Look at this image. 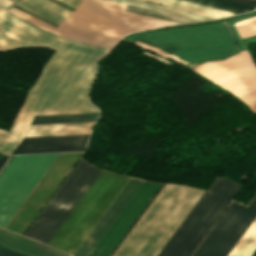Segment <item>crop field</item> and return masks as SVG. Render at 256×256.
Masks as SVG:
<instances>
[{
	"instance_id": "crop-field-19",
	"label": "crop field",
	"mask_w": 256,
	"mask_h": 256,
	"mask_svg": "<svg viewBox=\"0 0 256 256\" xmlns=\"http://www.w3.org/2000/svg\"><path fill=\"white\" fill-rule=\"evenodd\" d=\"M17 5L55 23V24H59L62 20H64L65 18L29 1V0H21L20 2L17 3ZM63 22V21H62Z\"/></svg>"
},
{
	"instance_id": "crop-field-16",
	"label": "crop field",
	"mask_w": 256,
	"mask_h": 256,
	"mask_svg": "<svg viewBox=\"0 0 256 256\" xmlns=\"http://www.w3.org/2000/svg\"><path fill=\"white\" fill-rule=\"evenodd\" d=\"M111 1H116V2H120V3H124V4L133 5V6H138V7H142V8H146V9L160 11V12L173 14V15H177V16H182V17H186V18H190V19L199 20V21L213 19L212 17L200 15L197 13L187 12V11L170 8V7H165V6L152 4V3H145V2H138V1H131V0H111Z\"/></svg>"
},
{
	"instance_id": "crop-field-21",
	"label": "crop field",
	"mask_w": 256,
	"mask_h": 256,
	"mask_svg": "<svg viewBox=\"0 0 256 256\" xmlns=\"http://www.w3.org/2000/svg\"><path fill=\"white\" fill-rule=\"evenodd\" d=\"M32 1L48 8L64 17H67L71 13V11H69V10L49 1V0H32Z\"/></svg>"
},
{
	"instance_id": "crop-field-3",
	"label": "crop field",
	"mask_w": 256,
	"mask_h": 256,
	"mask_svg": "<svg viewBox=\"0 0 256 256\" xmlns=\"http://www.w3.org/2000/svg\"><path fill=\"white\" fill-rule=\"evenodd\" d=\"M203 192L165 184L113 256H156Z\"/></svg>"
},
{
	"instance_id": "crop-field-2",
	"label": "crop field",
	"mask_w": 256,
	"mask_h": 256,
	"mask_svg": "<svg viewBox=\"0 0 256 256\" xmlns=\"http://www.w3.org/2000/svg\"><path fill=\"white\" fill-rule=\"evenodd\" d=\"M124 7L107 0H85L56 28L14 7L8 11L63 38L110 49L130 32L179 24L126 12Z\"/></svg>"
},
{
	"instance_id": "crop-field-5",
	"label": "crop field",
	"mask_w": 256,
	"mask_h": 256,
	"mask_svg": "<svg viewBox=\"0 0 256 256\" xmlns=\"http://www.w3.org/2000/svg\"><path fill=\"white\" fill-rule=\"evenodd\" d=\"M128 180L102 170L48 245L74 254Z\"/></svg>"
},
{
	"instance_id": "crop-field-20",
	"label": "crop field",
	"mask_w": 256,
	"mask_h": 256,
	"mask_svg": "<svg viewBox=\"0 0 256 256\" xmlns=\"http://www.w3.org/2000/svg\"><path fill=\"white\" fill-rule=\"evenodd\" d=\"M125 10L130 11V12L139 13V14L148 15V16H153V17H157V18H161V19H166V20H170V21H175V22H179V23L195 22V20H190V19H186V18H182V17L168 15V14L155 12V11H151V10H146V9L133 7V6H129V5L126 6Z\"/></svg>"
},
{
	"instance_id": "crop-field-26",
	"label": "crop field",
	"mask_w": 256,
	"mask_h": 256,
	"mask_svg": "<svg viewBox=\"0 0 256 256\" xmlns=\"http://www.w3.org/2000/svg\"><path fill=\"white\" fill-rule=\"evenodd\" d=\"M7 157H8V156H5V155L2 156V158H1V160H0V169H1V167L3 166V164L5 163Z\"/></svg>"
},
{
	"instance_id": "crop-field-4",
	"label": "crop field",
	"mask_w": 256,
	"mask_h": 256,
	"mask_svg": "<svg viewBox=\"0 0 256 256\" xmlns=\"http://www.w3.org/2000/svg\"><path fill=\"white\" fill-rule=\"evenodd\" d=\"M129 37L157 48L172 47V53L185 59L188 64L221 59L238 52L223 22L144 32L127 36L124 41ZM131 38L127 42L159 56L187 64L183 59L171 54V48L157 49Z\"/></svg>"
},
{
	"instance_id": "crop-field-8",
	"label": "crop field",
	"mask_w": 256,
	"mask_h": 256,
	"mask_svg": "<svg viewBox=\"0 0 256 256\" xmlns=\"http://www.w3.org/2000/svg\"><path fill=\"white\" fill-rule=\"evenodd\" d=\"M100 171L80 160L25 236L47 244Z\"/></svg>"
},
{
	"instance_id": "crop-field-24",
	"label": "crop field",
	"mask_w": 256,
	"mask_h": 256,
	"mask_svg": "<svg viewBox=\"0 0 256 256\" xmlns=\"http://www.w3.org/2000/svg\"><path fill=\"white\" fill-rule=\"evenodd\" d=\"M230 1L238 2L241 4L253 6V7H255L256 5V0H230Z\"/></svg>"
},
{
	"instance_id": "crop-field-12",
	"label": "crop field",
	"mask_w": 256,
	"mask_h": 256,
	"mask_svg": "<svg viewBox=\"0 0 256 256\" xmlns=\"http://www.w3.org/2000/svg\"><path fill=\"white\" fill-rule=\"evenodd\" d=\"M89 135L24 138L12 154L84 151Z\"/></svg>"
},
{
	"instance_id": "crop-field-13",
	"label": "crop field",
	"mask_w": 256,
	"mask_h": 256,
	"mask_svg": "<svg viewBox=\"0 0 256 256\" xmlns=\"http://www.w3.org/2000/svg\"><path fill=\"white\" fill-rule=\"evenodd\" d=\"M254 14H256V12H252L236 18L228 19L226 21L239 49L241 50L247 49L250 43L256 41V36H255L256 35V15ZM251 15H254V16H251ZM248 16H251V17H248ZM244 17H248V18H244ZM241 18H244V19H241ZM238 19H241V20H238ZM235 20H238V21H235ZM233 21H235V24L243 39L251 36H255V37L242 40Z\"/></svg>"
},
{
	"instance_id": "crop-field-9",
	"label": "crop field",
	"mask_w": 256,
	"mask_h": 256,
	"mask_svg": "<svg viewBox=\"0 0 256 256\" xmlns=\"http://www.w3.org/2000/svg\"><path fill=\"white\" fill-rule=\"evenodd\" d=\"M192 70L237 97L256 88V67L246 51L225 60L204 63Z\"/></svg>"
},
{
	"instance_id": "crop-field-6",
	"label": "crop field",
	"mask_w": 256,
	"mask_h": 256,
	"mask_svg": "<svg viewBox=\"0 0 256 256\" xmlns=\"http://www.w3.org/2000/svg\"><path fill=\"white\" fill-rule=\"evenodd\" d=\"M239 189V186L217 178L158 256H190Z\"/></svg>"
},
{
	"instance_id": "crop-field-22",
	"label": "crop field",
	"mask_w": 256,
	"mask_h": 256,
	"mask_svg": "<svg viewBox=\"0 0 256 256\" xmlns=\"http://www.w3.org/2000/svg\"><path fill=\"white\" fill-rule=\"evenodd\" d=\"M239 98L248 105L252 112L256 111V89Z\"/></svg>"
},
{
	"instance_id": "crop-field-1",
	"label": "crop field",
	"mask_w": 256,
	"mask_h": 256,
	"mask_svg": "<svg viewBox=\"0 0 256 256\" xmlns=\"http://www.w3.org/2000/svg\"><path fill=\"white\" fill-rule=\"evenodd\" d=\"M17 1L0 0V51L29 47L57 51L29 90L10 132L0 130V153L7 155L23 137L89 134L93 122L29 125L34 115L98 112L87 91L94 65L111 51L62 39L6 11Z\"/></svg>"
},
{
	"instance_id": "crop-field-10",
	"label": "crop field",
	"mask_w": 256,
	"mask_h": 256,
	"mask_svg": "<svg viewBox=\"0 0 256 256\" xmlns=\"http://www.w3.org/2000/svg\"><path fill=\"white\" fill-rule=\"evenodd\" d=\"M245 207L233 202L194 256H226L256 217V196Z\"/></svg>"
},
{
	"instance_id": "crop-field-15",
	"label": "crop field",
	"mask_w": 256,
	"mask_h": 256,
	"mask_svg": "<svg viewBox=\"0 0 256 256\" xmlns=\"http://www.w3.org/2000/svg\"><path fill=\"white\" fill-rule=\"evenodd\" d=\"M256 249V218L228 256H250Z\"/></svg>"
},
{
	"instance_id": "crop-field-11",
	"label": "crop field",
	"mask_w": 256,
	"mask_h": 256,
	"mask_svg": "<svg viewBox=\"0 0 256 256\" xmlns=\"http://www.w3.org/2000/svg\"><path fill=\"white\" fill-rule=\"evenodd\" d=\"M142 183V180L131 178L74 256H88L91 253Z\"/></svg>"
},
{
	"instance_id": "crop-field-18",
	"label": "crop field",
	"mask_w": 256,
	"mask_h": 256,
	"mask_svg": "<svg viewBox=\"0 0 256 256\" xmlns=\"http://www.w3.org/2000/svg\"><path fill=\"white\" fill-rule=\"evenodd\" d=\"M185 1L193 2V3L205 5V6H210V7H214V8L234 12V13H242L244 11H241V10L245 8L252 9V10L254 9L253 7L241 5V4L230 2L227 0H185Z\"/></svg>"
},
{
	"instance_id": "crop-field-7",
	"label": "crop field",
	"mask_w": 256,
	"mask_h": 256,
	"mask_svg": "<svg viewBox=\"0 0 256 256\" xmlns=\"http://www.w3.org/2000/svg\"><path fill=\"white\" fill-rule=\"evenodd\" d=\"M57 155L14 156L0 175V227L4 228Z\"/></svg>"
},
{
	"instance_id": "crop-field-25",
	"label": "crop field",
	"mask_w": 256,
	"mask_h": 256,
	"mask_svg": "<svg viewBox=\"0 0 256 256\" xmlns=\"http://www.w3.org/2000/svg\"><path fill=\"white\" fill-rule=\"evenodd\" d=\"M61 1L73 6L75 8L78 7L83 2V0H61Z\"/></svg>"
},
{
	"instance_id": "crop-field-17",
	"label": "crop field",
	"mask_w": 256,
	"mask_h": 256,
	"mask_svg": "<svg viewBox=\"0 0 256 256\" xmlns=\"http://www.w3.org/2000/svg\"><path fill=\"white\" fill-rule=\"evenodd\" d=\"M98 113L35 116L31 124L95 121Z\"/></svg>"
},
{
	"instance_id": "crop-field-14",
	"label": "crop field",
	"mask_w": 256,
	"mask_h": 256,
	"mask_svg": "<svg viewBox=\"0 0 256 256\" xmlns=\"http://www.w3.org/2000/svg\"><path fill=\"white\" fill-rule=\"evenodd\" d=\"M145 1L160 3V4H164V5H168V6L188 10V11H194V12L206 14L209 16L217 17V18L234 14V13H230V12H226V11H222L214 8H209V7H205V6H201V5H197V4H193L185 1H180V0H145Z\"/></svg>"
},
{
	"instance_id": "crop-field-23",
	"label": "crop field",
	"mask_w": 256,
	"mask_h": 256,
	"mask_svg": "<svg viewBox=\"0 0 256 256\" xmlns=\"http://www.w3.org/2000/svg\"><path fill=\"white\" fill-rule=\"evenodd\" d=\"M0 256H26L8 248L0 246Z\"/></svg>"
}]
</instances>
